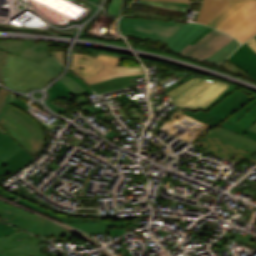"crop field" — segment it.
Here are the masks:
<instances>
[{
	"instance_id": "1",
	"label": "crop field",
	"mask_w": 256,
	"mask_h": 256,
	"mask_svg": "<svg viewBox=\"0 0 256 256\" xmlns=\"http://www.w3.org/2000/svg\"><path fill=\"white\" fill-rule=\"evenodd\" d=\"M177 110L213 127L228 120L248 129L256 121V95L242 88L230 85L203 111L200 109L194 113L181 106Z\"/></svg>"
},
{
	"instance_id": "2",
	"label": "crop field",
	"mask_w": 256,
	"mask_h": 256,
	"mask_svg": "<svg viewBox=\"0 0 256 256\" xmlns=\"http://www.w3.org/2000/svg\"><path fill=\"white\" fill-rule=\"evenodd\" d=\"M0 124L34 156L39 152L43 143V133L39 122L32 116L11 105Z\"/></svg>"
},
{
	"instance_id": "3",
	"label": "crop field",
	"mask_w": 256,
	"mask_h": 256,
	"mask_svg": "<svg viewBox=\"0 0 256 256\" xmlns=\"http://www.w3.org/2000/svg\"><path fill=\"white\" fill-rule=\"evenodd\" d=\"M36 64L10 53L6 59V67L2 66L5 84L23 91L32 87H43L54 77Z\"/></svg>"
},
{
	"instance_id": "4",
	"label": "crop field",
	"mask_w": 256,
	"mask_h": 256,
	"mask_svg": "<svg viewBox=\"0 0 256 256\" xmlns=\"http://www.w3.org/2000/svg\"><path fill=\"white\" fill-rule=\"evenodd\" d=\"M10 205L0 201V215H2V220L6 223H10L42 237L71 235L69 232L50 221Z\"/></svg>"
},
{
	"instance_id": "5",
	"label": "crop field",
	"mask_w": 256,
	"mask_h": 256,
	"mask_svg": "<svg viewBox=\"0 0 256 256\" xmlns=\"http://www.w3.org/2000/svg\"><path fill=\"white\" fill-rule=\"evenodd\" d=\"M182 25L152 19L121 18L120 20L122 34L163 43H166Z\"/></svg>"
},
{
	"instance_id": "6",
	"label": "crop field",
	"mask_w": 256,
	"mask_h": 256,
	"mask_svg": "<svg viewBox=\"0 0 256 256\" xmlns=\"http://www.w3.org/2000/svg\"><path fill=\"white\" fill-rule=\"evenodd\" d=\"M228 86L229 84L223 82L205 79L190 86L170 102L181 105L185 108H189L196 112L200 108L203 110Z\"/></svg>"
},
{
	"instance_id": "7",
	"label": "crop field",
	"mask_w": 256,
	"mask_h": 256,
	"mask_svg": "<svg viewBox=\"0 0 256 256\" xmlns=\"http://www.w3.org/2000/svg\"><path fill=\"white\" fill-rule=\"evenodd\" d=\"M193 146L231 161L241 163L243 158H248L247 160L256 163V159L250 157L256 150L216 134L209 133Z\"/></svg>"
},
{
	"instance_id": "8",
	"label": "crop field",
	"mask_w": 256,
	"mask_h": 256,
	"mask_svg": "<svg viewBox=\"0 0 256 256\" xmlns=\"http://www.w3.org/2000/svg\"><path fill=\"white\" fill-rule=\"evenodd\" d=\"M249 3L217 29L236 37L241 43L254 36L256 34V1H249Z\"/></svg>"
},
{
	"instance_id": "9",
	"label": "crop field",
	"mask_w": 256,
	"mask_h": 256,
	"mask_svg": "<svg viewBox=\"0 0 256 256\" xmlns=\"http://www.w3.org/2000/svg\"><path fill=\"white\" fill-rule=\"evenodd\" d=\"M122 58L99 54L97 59L73 53V62L70 70L83 79L98 72L103 66L116 69L118 71H139L142 67H117Z\"/></svg>"
},
{
	"instance_id": "10",
	"label": "crop field",
	"mask_w": 256,
	"mask_h": 256,
	"mask_svg": "<svg viewBox=\"0 0 256 256\" xmlns=\"http://www.w3.org/2000/svg\"><path fill=\"white\" fill-rule=\"evenodd\" d=\"M26 238V240H24ZM39 242L46 240L25 232L0 238V252L4 256H28L41 254Z\"/></svg>"
},
{
	"instance_id": "11",
	"label": "crop field",
	"mask_w": 256,
	"mask_h": 256,
	"mask_svg": "<svg viewBox=\"0 0 256 256\" xmlns=\"http://www.w3.org/2000/svg\"><path fill=\"white\" fill-rule=\"evenodd\" d=\"M20 203L26 204L32 208L38 209L39 211L46 213L58 220H61L62 222L69 224L75 228H78L86 233L89 234H102V233H108L107 226H128V221H120V222H105V220H99V219H72L67 218L61 215H58L48 209H45L43 207H40L38 205H35L33 203L24 201V200H17Z\"/></svg>"
},
{
	"instance_id": "12",
	"label": "crop field",
	"mask_w": 256,
	"mask_h": 256,
	"mask_svg": "<svg viewBox=\"0 0 256 256\" xmlns=\"http://www.w3.org/2000/svg\"><path fill=\"white\" fill-rule=\"evenodd\" d=\"M51 92V98L46 103L56 112L65 111L66 108L59 106L55 107L53 103H50L51 99L64 97L70 101L73 97L70 93H93L89 85L81 80L79 77L69 71L57 84L49 89Z\"/></svg>"
},
{
	"instance_id": "13",
	"label": "crop field",
	"mask_w": 256,
	"mask_h": 256,
	"mask_svg": "<svg viewBox=\"0 0 256 256\" xmlns=\"http://www.w3.org/2000/svg\"><path fill=\"white\" fill-rule=\"evenodd\" d=\"M232 39L234 38L214 29L193 46L189 44L185 49L181 51V53L205 60L224 45H226L228 42H230Z\"/></svg>"
},
{
	"instance_id": "14",
	"label": "crop field",
	"mask_w": 256,
	"mask_h": 256,
	"mask_svg": "<svg viewBox=\"0 0 256 256\" xmlns=\"http://www.w3.org/2000/svg\"><path fill=\"white\" fill-rule=\"evenodd\" d=\"M0 49L37 63L51 55L47 49L46 42L35 44L33 41H0Z\"/></svg>"
},
{
	"instance_id": "15",
	"label": "crop field",
	"mask_w": 256,
	"mask_h": 256,
	"mask_svg": "<svg viewBox=\"0 0 256 256\" xmlns=\"http://www.w3.org/2000/svg\"><path fill=\"white\" fill-rule=\"evenodd\" d=\"M206 28L207 26L202 24L188 22L170 38L168 47L180 52Z\"/></svg>"
},
{
	"instance_id": "16",
	"label": "crop field",
	"mask_w": 256,
	"mask_h": 256,
	"mask_svg": "<svg viewBox=\"0 0 256 256\" xmlns=\"http://www.w3.org/2000/svg\"><path fill=\"white\" fill-rule=\"evenodd\" d=\"M228 60L247 71L256 79V53L246 43L231 55Z\"/></svg>"
},
{
	"instance_id": "17",
	"label": "crop field",
	"mask_w": 256,
	"mask_h": 256,
	"mask_svg": "<svg viewBox=\"0 0 256 256\" xmlns=\"http://www.w3.org/2000/svg\"><path fill=\"white\" fill-rule=\"evenodd\" d=\"M155 1L190 2V0H155ZM228 1L229 0H204L197 22L207 24Z\"/></svg>"
},
{
	"instance_id": "18",
	"label": "crop field",
	"mask_w": 256,
	"mask_h": 256,
	"mask_svg": "<svg viewBox=\"0 0 256 256\" xmlns=\"http://www.w3.org/2000/svg\"><path fill=\"white\" fill-rule=\"evenodd\" d=\"M34 156L30 154L25 148L18 151L5 162L0 165V175H9L12 171L22 167L32 160Z\"/></svg>"
},
{
	"instance_id": "19",
	"label": "crop field",
	"mask_w": 256,
	"mask_h": 256,
	"mask_svg": "<svg viewBox=\"0 0 256 256\" xmlns=\"http://www.w3.org/2000/svg\"><path fill=\"white\" fill-rule=\"evenodd\" d=\"M247 4L248 1L230 0L207 25L217 28Z\"/></svg>"
},
{
	"instance_id": "20",
	"label": "crop field",
	"mask_w": 256,
	"mask_h": 256,
	"mask_svg": "<svg viewBox=\"0 0 256 256\" xmlns=\"http://www.w3.org/2000/svg\"><path fill=\"white\" fill-rule=\"evenodd\" d=\"M22 148L24 147L20 146L8 133L4 135L0 132V164Z\"/></svg>"
},
{
	"instance_id": "21",
	"label": "crop field",
	"mask_w": 256,
	"mask_h": 256,
	"mask_svg": "<svg viewBox=\"0 0 256 256\" xmlns=\"http://www.w3.org/2000/svg\"><path fill=\"white\" fill-rule=\"evenodd\" d=\"M144 71L140 72H118L116 70H112L109 68L103 67L98 73L94 74L93 76L85 79L89 84H94L98 81L118 77V76H125V75H134V74H141Z\"/></svg>"
},
{
	"instance_id": "22",
	"label": "crop field",
	"mask_w": 256,
	"mask_h": 256,
	"mask_svg": "<svg viewBox=\"0 0 256 256\" xmlns=\"http://www.w3.org/2000/svg\"><path fill=\"white\" fill-rule=\"evenodd\" d=\"M141 76H145V74L113 78V79H109V80L98 82V83H96L94 85H90V86L92 87V89L95 92H97V91H101V90H105V89H109V88H113V87L129 84L130 81H129L128 78L141 77Z\"/></svg>"
},
{
	"instance_id": "23",
	"label": "crop field",
	"mask_w": 256,
	"mask_h": 256,
	"mask_svg": "<svg viewBox=\"0 0 256 256\" xmlns=\"http://www.w3.org/2000/svg\"><path fill=\"white\" fill-rule=\"evenodd\" d=\"M239 44L240 43L234 39L221 50H219L217 53L212 55L210 58H206V61H210L213 63L223 62L239 46Z\"/></svg>"
},
{
	"instance_id": "24",
	"label": "crop field",
	"mask_w": 256,
	"mask_h": 256,
	"mask_svg": "<svg viewBox=\"0 0 256 256\" xmlns=\"http://www.w3.org/2000/svg\"><path fill=\"white\" fill-rule=\"evenodd\" d=\"M212 133H216L220 136H224V137H227L233 141H237V142H240L244 145H247V146H250L254 149H256V141L254 140H251V139H248L246 137H243L241 135H238V134H235L233 132H230L228 130H225V129H222L220 127H217L216 129H214L213 131H211Z\"/></svg>"
},
{
	"instance_id": "25",
	"label": "crop field",
	"mask_w": 256,
	"mask_h": 256,
	"mask_svg": "<svg viewBox=\"0 0 256 256\" xmlns=\"http://www.w3.org/2000/svg\"><path fill=\"white\" fill-rule=\"evenodd\" d=\"M42 69L56 77L62 71V66L51 55L38 64Z\"/></svg>"
},
{
	"instance_id": "26",
	"label": "crop field",
	"mask_w": 256,
	"mask_h": 256,
	"mask_svg": "<svg viewBox=\"0 0 256 256\" xmlns=\"http://www.w3.org/2000/svg\"><path fill=\"white\" fill-rule=\"evenodd\" d=\"M220 127L228 129V130L233 131L235 133H238V134H241V135L246 136L248 138L256 140V133L251 132L249 130H246L244 128H241L239 126L233 125V124H231L227 121L224 122L223 124H221Z\"/></svg>"
},
{
	"instance_id": "27",
	"label": "crop field",
	"mask_w": 256,
	"mask_h": 256,
	"mask_svg": "<svg viewBox=\"0 0 256 256\" xmlns=\"http://www.w3.org/2000/svg\"><path fill=\"white\" fill-rule=\"evenodd\" d=\"M222 238L239 240V241H242V242H245V243H249V244H251V245L256 247V244L251 242L253 239L256 238V236H253V235L246 234V236L243 237V236H240V235H234V234L225 233L222 236Z\"/></svg>"
},
{
	"instance_id": "28",
	"label": "crop field",
	"mask_w": 256,
	"mask_h": 256,
	"mask_svg": "<svg viewBox=\"0 0 256 256\" xmlns=\"http://www.w3.org/2000/svg\"><path fill=\"white\" fill-rule=\"evenodd\" d=\"M120 5H121V0H111L106 13H109L112 16L118 18L119 11H120Z\"/></svg>"
},
{
	"instance_id": "29",
	"label": "crop field",
	"mask_w": 256,
	"mask_h": 256,
	"mask_svg": "<svg viewBox=\"0 0 256 256\" xmlns=\"http://www.w3.org/2000/svg\"><path fill=\"white\" fill-rule=\"evenodd\" d=\"M198 81H200V79L194 78V79H192V80H190V81L184 83L183 85H181V86L175 88L174 90L170 91V92L167 93L166 95H168V96H170L171 98H173V97H175L177 94H179L184 88H186V87H188V86H190V85H192V84H194V83H196V82H198Z\"/></svg>"
},
{
	"instance_id": "30",
	"label": "crop field",
	"mask_w": 256,
	"mask_h": 256,
	"mask_svg": "<svg viewBox=\"0 0 256 256\" xmlns=\"http://www.w3.org/2000/svg\"><path fill=\"white\" fill-rule=\"evenodd\" d=\"M0 232L3 236V235L10 234V233H14L15 231L12 226L0 222Z\"/></svg>"
},
{
	"instance_id": "31",
	"label": "crop field",
	"mask_w": 256,
	"mask_h": 256,
	"mask_svg": "<svg viewBox=\"0 0 256 256\" xmlns=\"http://www.w3.org/2000/svg\"><path fill=\"white\" fill-rule=\"evenodd\" d=\"M7 93H9V92H7L6 90H4V89H2V88H0V111H1V109H2V106H3V103H4V101H5V97H6V94ZM11 94V93H10ZM13 95V94H12ZM0 131L2 132V133H7L2 127H0Z\"/></svg>"
},
{
	"instance_id": "32",
	"label": "crop field",
	"mask_w": 256,
	"mask_h": 256,
	"mask_svg": "<svg viewBox=\"0 0 256 256\" xmlns=\"http://www.w3.org/2000/svg\"><path fill=\"white\" fill-rule=\"evenodd\" d=\"M8 55V52L0 50V82H3V77H2V68L1 65L5 66V58Z\"/></svg>"
},
{
	"instance_id": "33",
	"label": "crop field",
	"mask_w": 256,
	"mask_h": 256,
	"mask_svg": "<svg viewBox=\"0 0 256 256\" xmlns=\"http://www.w3.org/2000/svg\"><path fill=\"white\" fill-rule=\"evenodd\" d=\"M128 228H125V229H108L109 230V235L110 236H121L123 234H125V230H127Z\"/></svg>"
},
{
	"instance_id": "34",
	"label": "crop field",
	"mask_w": 256,
	"mask_h": 256,
	"mask_svg": "<svg viewBox=\"0 0 256 256\" xmlns=\"http://www.w3.org/2000/svg\"><path fill=\"white\" fill-rule=\"evenodd\" d=\"M11 95H7V98H6V101H5V103H4V107H3V110H2V112L0 113V118L2 117V115L5 113V111L7 110V108H8V106H9V104H10V101H11Z\"/></svg>"
},
{
	"instance_id": "35",
	"label": "crop field",
	"mask_w": 256,
	"mask_h": 256,
	"mask_svg": "<svg viewBox=\"0 0 256 256\" xmlns=\"http://www.w3.org/2000/svg\"><path fill=\"white\" fill-rule=\"evenodd\" d=\"M53 56L64 65V58L62 52H51Z\"/></svg>"
},
{
	"instance_id": "36",
	"label": "crop field",
	"mask_w": 256,
	"mask_h": 256,
	"mask_svg": "<svg viewBox=\"0 0 256 256\" xmlns=\"http://www.w3.org/2000/svg\"><path fill=\"white\" fill-rule=\"evenodd\" d=\"M185 74H187V73L178 72V73L174 74L172 77H169V76H168V77L162 79L161 82H164V81H166V80H168V79H170V78L176 79V77H179L180 79H182V78H184L183 75H185ZM166 83H167V82H166Z\"/></svg>"
},
{
	"instance_id": "37",
	"label": "crop field",
	"mask_w": 256,
	"mask_h": 256,
	"mask_svg": "<svg viewBox=\"0 0 256 256\" xmlns=\"http://www.w3.org/2000/svg\"><path fill=\"white\" fill-rule=\"evenodd\" d=\"M130 105H131V104L124 105L125 108L127 109V111H128V108H129L130 111H133L134 108L132 109V108L130 107ZM127 107H128V108H127ZM132 107H133V106H132ZM134 111H135V110H134ZM134 111H133V113H132V114L134 115V117L138 118L139 121H141V119L139 118L140 116L137 114V115L139 116V117H138V116L135 114L136 111H135V112H134ZM128 112H129V111H128ZM129 113H130V112H129ZM136 113H137V112H136ZM132 114L130 113L131 116H132ZM132 117H133V116H132ZM134 117L132 118V120L137 121ZM135 121H134V122H135ZM137 122H138V121H137Z\"/></svg>"
},
{
	"instance_id": "38",
	"label": "crop field",
	"mask_w": 256,
	"mask_h": 256,
	"mask_svg": "<svg viewBox=\"0 0 256 256\" xmlns=\"http://www.w3.org/2000/svg\"><path fill=\"white\" fill-rule=\"evenodd\" d=\"M212 28L208 27L205 31H203L195 40H193L190 44H194L197 42L201 37H203L205 34H207L209 31H211Z\"/></svg>"
},
{
	"instance_id": "39",
	"label": "crop field",
	"mask_w": 256,
	"mask_h": 256,
	"mask_svg": "<svg viewBox=\"0 0 256 256\" xmlns=\"http://www.w3.org/2000/svg\"><path fill=\"white\" fill-rule=\"evenodd\" d=\"M246 43L256 52V39L254 37Z\"/></svg>"
},
{
	"instance_id": "40",
	"label": "crop field",
	"mask_w": 256,
	"mask_h": 256,
	"mask_svg": "<svg viewBox=\"0 0 256 256\" xmlns=\"http://www.w3.org/2000/svg\"><path fill=\"white\" fill-rule=\"evenodd\" d=\"M0 194H3V195H5V196H7V197H9V198L14 199V200L18 199V197H16V196H14V195H12V194H10V193L4 191V190L1 189V188H0Z\"/></svg>"
},
{
	"instance_id": "41",
	"label": "crop field",
	"mask_w": 256,
	"mask_h": 256,
	"mask_svg": "<svg viewBox=\"0 0 256 256\" xmlns=\"http://www.w3.org/2000/svg\"><path fill=\"white\" fill-rule=\"evenodd\" d=\"M146 1H149V0H146ZM162 3H164V2H162ZM168 4L179 5V6H184V7H188V5H189L188 3H168Z\"/></svg>"
},
{
	"instance_id": "42",
	"label": "crop field",
	"mask_w": 256,
	"mask_h": 256,
	"mask_svg": "<svg viewBox=\"0 0 256 256\" xmlns=\"http://www.w3.org/2000/svg\"><path fill=\"white\" fill-rule=\"evenodd\" d=\"M249 130L256 132V123H254Z\"/></svg>"
},
{
	"instance_id": "43",
	"label": "crop field",
	"mask_w": 256,
	"mask_h": 256,
	"mask_svg": "<svg viewBox=\"0 0 256 256\" xmlns=\"http://www.w3.org/2000/svg\"><path fill=\"white\" fill-rule=\"evenodd\" d=\"M121 108V107H120ZM118 111H119V113L122 115V116H124L125 115V113H124V111H123V109L121 108V109H118Z\"/></svg>"
},
{
	"instance_id": "44",
	"label": "crop field",
	"mask_w": 256,
	"mask_h": 256,
	"mask_svg": "<svg viewBox=\"0 0 256 256\" xmlns=\"http://www.w3.org/2000/svg\"><path fill=\"white\" fill-rule=\"evenodd\" d=\"M89 1L94 2V3H96V4H97V2H98V0H89Z\"/></svg>"
},
{
	"instance_id": "45",
	"label": "crop field",
	"mask_w": 256,
	"mask_h": 256,
	"mask_svg": "<svg viewBox=\"0 0 256 256\" xmlns=\"http://www.w3.org/2000/svg\"><path fill=\"white\" fill-rule=\"evenodd\" d=\"M0 256H3L2 253H0Z\"/></svg>"
},
{
	"instance_id": "46",
	"label": "crop field",
	"mask_w": 256,
	"mask_h": 256,
	"mask_svg": "<svg viewBox=\"0 0 256 256\" xmlns=\"http://www.w3.org/2000/svg\"><path fill=\"white\" fill-rule=\"evenodd\" d=\"M0 237H1V234H0Z\"/></svg>"
},
{
	"instance_id": "47",
	"label": "crop field",
	"mask_w": 256,
	"mask_h": 256,
	"mask_svg": "<svg viewBox=\"0 0 256 256\" xmlns=\"http://www.w3.org/2000/svg\"><path fill=\"white\" fill-rule=\"evenodd\" d=\"M255 38H256V36H255Z\"/></svg>"
}]
</instances>
